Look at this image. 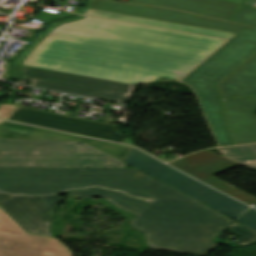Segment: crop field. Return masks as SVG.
Segmentation results:
<instances>
[{
	"mask_svg": "<svg viewBox=\"0 0 256 256\" xmlns=\"http://www.w3.org/2000/svg\"><path fill=\"white\" fill-rule=\"evenodd\" d=\"M237 221L256 230V210L250 208Z\"/></svg>",
	"mask_w": 256,
	"mask_h": 256,
	"instance_id": "obj_20",
	"label": "crop field"
},
{
	"mask_svg": "<svg viewBox=\"0 0 256 256\" xmlns=\"http://www.w3.org/2000/svg\"><path fill=\"white\" fill-rule=\"evenodd\" d=\"M19 107L0 103V118L9 120Z\"/></svg>",
	"mask_w": 256,
	"mask_h": 256,
	"instance_id": "obj_21",
	"label": "crop field"
},
{
	"mask_svg": "<svg viewBox=\"0 0 256 256\" xmlns=\"http://www.w3.org/2000/svg\"><path fill=\"white\" fill-rule=\"evenodd\" d=\"M88 186L117 189L147 199H178L183 194L136 169L0 168V192L53 194Z\"/></svg>",
	"mask_w": 256,
	"mask_h": 256,
	"instance_id": "obj_3",
	"label": "crop field"
},
{
	"mask_svg": "<svg viewBox=\"0 0 256 256\" xmlns=\"http://www.w3.org/2000/svg\"><path fill=\"white\" fill-rule=\"evenodd\" d=\"M80 14L87 15V16H93V17H99V18H105V19H111V20H117V21H124V22L160 27V28H166V29H172V30H178V31H184V32H190V33H196V34H202V35H208V36H214V37H220V38H226V39H231L233 36L236 35L233 33H227V32H222V31H216V30H210V29H204V28H198V27H191V26L155 21V20H149V19H144V18H138V17L109 13V12L91 10V9H86V8H84Z\"/></svg>",
	"mask_w": 256,
	"mask_h": 256,
	"instance_id": "obj_17",
	"label": "crop field"
},
{
	"mask_svg": "<svg viewBox=\"0 0 256 256\" xmlns=\"http://www.w3.org/2000/svg\"><path fill=\"white\" fill-rule=\"evenodd\" d=\"M256 27V9L242 6L231 20ZM224 99L256 96V56L220 85Z\"/></svg>",
	"mask_w": 256,
	"mask_h": 256,
	"instance_id": "obj_14",
	"label": "crop field"
},
{
	"mask_svg": "<svg viewBox=\"0 0 256 256\" xmlns=\"http://www.w3.org/2000/svg\"><path fill=\"white\" fill-rule=\"evenodd\" d=\"M160 160H162V161H164V162H169V161H171L170 159H167V158H165V157H163V156H160V157H158ZM176 158V157H175ZM174 158V159H175ZM173 160V159H172Z\"/></svg>",
	"mask_w": 256,
	"mask_h": 256,
	"instance_id": "obj_23",
	"label": "crop field"
},
{
	"mask_svg": "<svg viewBox=\"0 0 256 256\" xmlns=\"http://www.w3.org/2000/svg\"><path fill=\"white\" fill-rule=\"evenodd\" d=\"M64 197H16L0 207L27 232L52 236L51 222Z\"/></svg>",
	"mask_w": 256,
	"mask_h": 256,
	"instance_id": "obj_12",
	"label": "crop field"
},
{
	"mask_svg": "<svg viewBox=\"0 0 256 256\" xmlns=\"http://www.w3.org/2000/svg\"><path fill=\"white\" fill-rule=\"evenodd\" d=\"M123 162L182 191L219 212L235 219L248 206L166 166L143 152L133 148Z\"/></svg>",
	"mask_w": 256,
	"mask_h": 256,
	"instance_id": "obj_6",
	"label": "crop field"
},
{
	"mask_svg": "<svg viewBox=\"0 0 256 256\" xmlns=\"http://www.w3.org/2000/svg\"><path fill=\"white\" fill-rule=\"evenodd\" d=\"M70 197L108 199L137 218L130 224L145 235L149 248L207 255L218 244L212 242L234 220L183 194L178 200L154 203L130 199L101 189L70 191Z\"/></svg>",
	"mask_w": 256,
	"mask_h": 256,
	"instance_id": "obj_2",
	"label": "crop field"
},
{
	"mask_svg": "<svg viewBox=\"0 0 256 256\" xmlns=\"http://www.w3.org/2000/svg\"><path fill=\"white\" fill-rule=\"evenodd\" d=\"M87 8L127 14L132 16L150 18L155 20L192 25L216 30H222L227 32H233L237 34V31L241 30L245 26L227 23L215 19H210L202 16L188 14L171 9L136 6L112 2H103L96 0H89Z\"/></svg>",
	"mask_w": 256,
	"mask_h": 256,
	"instance_id": "obj_11",
	"label": "crop field"
},
{
	"mask_svg": "<svg viewBox=\"0 0 256 256\" xmlns=\"http://www.w3.org/2000/svg\"><path fill=\"white\" fill-rule=\"evenodd\" d=\"M1 122H5V121L0 120V123H1Z\"/></svg>",
	"mask_w": 256,
	"mask_h": 256,
	"instance_id": "obj_24",
	"label": "crop field"
},
{
	"mask_svg": "<svg viewBox=\"0 0 256 256\" xmlns=\"http://www.w3.org/2000/svg\"><path fill=\"white\" fill-rule=\"evenodd\" d=\"M10 120L119 143L126 137L119 133L115 125L23 107Z\"/></svg>",
	"mask_w": 256,
	"mask_h": 256,
	"instance_id": "obj_9",
	"label": "crop field"
},
{
	"mask_svg": "<svg viewBox=\"0 0 256 256\" xmlns=\"http://www.w3.org/2000/svg\"><path fill=\"white\" fill-rule=\"evenodd\" d=\"M223 104L236 145L256 143V98L228 100Z\"/></svg>",
	"mask_w": 256,
	"mask_h": 256,
	"instance_id": "obj_15",
	"label": "crop field"
},
{
	"mask_svg": "<svg viewBox=\"0 0 256 256\" xmlns=\"http://www.w3.org/2000/svg\"><path fill=\"white\" fill-rule=\"evenodd\" d=\"M13 197H15V196L0 193V205H1L4 201L9 200V199H11V198H13Z\"/></svg>",
	"mask_w": 256,
	"mask_h": 256,
	"instance_id": "obj_22",
	"label": "crop field"
},
{
	"mask_svg": "<svg viewBox=\"0 0 256 256\" xmlns=\"http://www.w3.org/2000/svg\"><path fill=\"white\" fill-rule=\"evenodd\" d=\"M255 52L256 29L246 27L181 81L196 91L205 112L223 110L216 83Z\"/></svg>",
	"mask_w": 256,
	"mask_h": 256,
	"instance_id": "obj_5",
	"label": "crop field"
},
{
	"mask_svg": "<svg viewBox=\"0 0 256 256\" xmlns=\"http://www.w3.org/2000/svg\"><path fill=\"white\" fill-rule=\"evenodd\" d=\"M225 40L78 15L52 22L15 64L130 84L178 79Z\"/></svg>",
	"mask_w": 256,
	"mask_h": 256,
	"instance_id": "obj_1",
	"label": "crop field"
},
{
	"mask_svg": "<svg viewBox=\"0 0 256 256\" xmlns=\"http://www.w3.org/2000/svg\"><path fill=\"white\" fill-rule=\"evenodd\" d=\"M224 156L242 164L256 168V145L222 149Z\"/></svg>",
	"mask_w": 256,
	"mask_h": 256,
	"instance_id": "obj_18",
	"label": "crop field"
},
{
	"mask_svg": "<svg viewBox=\"0 0 256 256\" xmlns=\"http://www.w3.org/2000/svg\"><path fill=\"white\" fill-rule=\"evenodd\" d=\"M131 3L162 6L229 20L241 6L223 0H130Z\"/></svg>",
	"mask_w": 256,
	"mask_h": 256,
	"instance_id": "obj_16",
	"label": "crop field"
},
{
	"mask_svg": "<svg viewBox=\"0 0 256 256\" xmlns=\"http://www.w3.org/2000/svg\"><path fill=\"white\" fill-rule=\"evenodd\" d=\"M0 256H73L54 237L27 233L0 208Z\"/></svg>",
	"mask_w": 256,
	"mask_h": 256,
	"instance_id": "obj_8",
	"label": "crop field"
},
{
	"mask_svg": "<svg viewBox=\"0 0 256 256\" xmlns=\"http://www.w3.org/2000/svg\"><path fill=\"white\" fill-rule=\"evenodd\" d=\"M14 77L32 81L31 86L127 103L135 86L13 64Z\"/></svg>",
	"mask_w": 256,
	"mask_h": 256,
	"instance_id": "obj_7",
	"label": "crop field"
},
{
	"mask_svg": "<svg viewBox=\"0 0 256 256\" xmlns=\"http://www.w3.org/2000/svg\"><path fill=\"white\" fill-rule=\"evenodd\" d=\"M0 167L127 168L82 142L0 139Z\"/></svg>",
	"mask_w": 256,
	"mask_h": 256,
	"instance_id": "obj_4",
	"label": "crop field"
},
{
	"mask_svg": "<svg viewBox=\"0 0 256 256\" xmlns=\"http://www.w3.org/2000/svg\"><path fill=\"white\" fill-rule=\"evenodd\" d=\"M0 138L83 141L121 161L132 149L127 146L9 122L0 124Z\"/></svg>",
	"mask_w": 256,
	"mask_h": 256,
	"instance_id": "obj_13",
	"label": "crop field"
},
{
	"mask_svg": "<svg viewBox=\"0 0 256 256\" xmlns=\"http://www.w3.org/2000/svg\"><path fill=\"white\" fill-rule=\"evenodd\" d=\"M220 146L234 145L225 126L223 111L205 113Z\"/></svg>",
	"mask_w": 256,
	"mask_h": 256,
	"instance_id": "obj_19",
	"label": "crop field"
},
{
	"mask_svg": "<svg viewBox=\"0 0 256 256\" xmlns=\"http://www.w3.org/2000/svg\"><path fill=\"white\" fill-rule=\"evenodd\" d=\"M170 165L247 205H256V198L212 177L238 165L210 150L194 153Z\"/></svg>",
	"mask_w": 256,
	"mask_h": 256,
	"instance_id": "obj_10",
	"label": "crop field"
}]
</instances>
